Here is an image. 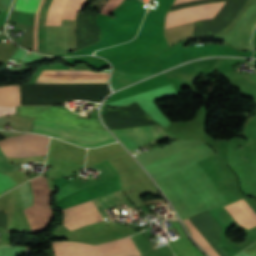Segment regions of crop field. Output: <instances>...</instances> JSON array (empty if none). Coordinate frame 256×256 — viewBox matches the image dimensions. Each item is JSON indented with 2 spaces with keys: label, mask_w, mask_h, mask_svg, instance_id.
<instances>
[{
  "label": "crop field",
  "mask_w": 256,
  "mask_h": 256,
  "mask_svg": "<svg viewBox=\"0 0 256 256\" xmlns=\"http://www.w3.org/2000/svg\"><path fill=\"white\" fill-rule=\"evenodd\" d=\"M59 109L57 107H18L16 115L53 122ZM37 120H34V133H44L79 146L93 147L116 141L107 130Z\"/></svg>",
  "instance_id": "1"
},
{
  "label": "crop field",
  "mask_w": 256,
  "mask_h": 256,
  "mask_svg": "<svg viewBox=\"0 0 256 256\" xmlns=\"http://www.w3.org/2000/svg\"><path fill=\"white\" fill-rule=\"evenodd\" d=\"M87 0H68L64 10L62 26L76 27L77 12ZM40 0H17L15 9L36 13ZM51 0H41L35 14L11 11L8 21L33 26L34 16V49L45 52V20Z\"/></svg>",
  "instance_id": "2"
},
{
  "label": "crop field",
  "mask_w": 256,
  "mask_h": 256,
  "mask_svg": "<svg viewBox=\"0 0 256 256\" xmlns=\"http://www.w3.org/2000/svg\"><path fill=\"white\" fill-rule=\"evenodd\" d=\"M40 176L30 180L33 181ZM34 194V206L24 209L31 226L32 233H38L46 229L51 222L53 212L50 208V188L46 178H39L31 182Z\"/></svg>",
  "instance_id": "3"
},
{
  "label": "crop field",
  "mask_w": 256,
  "mask_h": 256,
  "mask_svg": "<svg viewBox=\"0 0 256 256\" xmlns=\"http://www.w3.org/2000/svg\"><path fill=\"white\" fill-rule=\"evenodd\" d=\"M146 9L140 0H133L113 18L112 45L135 37Z\"/></svg>",
  "instance_id": "4"
},
{
  "label": "crop field",
  "mask_w": 256,
  "mask_h": 256,
  "mask_svg": "<svg viewBox=\"0 0 256 256\" xmlns=\"http://www.w3.org/2000/svg\"><path fill=\"white\" fill-rule=\"evenodd\" d=\"M120 141L129 149L133 150L144 144H147L157 138L167 136L168 134L158 125L135 127L128 129L111 130Z\"/></svg>",
  "instance_id": "5"
},
{
  "label": "crop field",
  "mask_w": 256,
  "mask_h": 256,
  "mask_svg": "<svg viewBox=\"0 0 256 256\" xmlns=\"http://www.w3.org/2000/svg\"><path fill=\"white\" fill-rule=\"evenodd\" d=\"M77 207L80 209L89 224L102 221V218L92 200L77 204ZM77 207L74 205L62 210L64 214L63 226L71 231L88 225V222Z\"/></svg>",
  "instance_id": "6"
},
{
  "label": "crop field",
  "mask_w": 256,
  "mask_h": 256,
  "mask_svg": "<svg viewBox=\"0 0 256 256\" xmlns=\"http://www.w3.org/2000/svg\"><path fill=\"white\" fill-rule=\"evenodd\" d=\"M191 1L195 0H176L172 6L184 4ZM222 2L223 0L188 9L185 11L169 14L166 18V28L213 17Z\"/></svg>",
  "instance_id": "7"
},
{
  "label": "crop field",
  "mask_w": 256,
  "mask_h": 256,
  "mask_svg": "<svg viewBox=\"0 0 256 256\" xmlns=\"http://www.w3.org/2000/svg\"><path fill=\"white\" fill-rule=\"evenodd\" d=\"M53 243V247H54V251H55V255L56 256H84V254L86 256H105V255H109V254H113V253H117L120 251H124L127 249H131L130 245L128 246H124L118 249H114L111 251H107L101 254H97L95 255L93 250L91 249L90 245L88 244H82L80 243L81 249L84 252V254L82 253L79 244L76 242H72V241H55L52 242ZM132 248H135V244L131 245Z\"/></svg>",
  "instance_id": "8"
},
{
  "label": "crop field",
  "mask_w": 256,
  "mask_h": 256,
  "mask_svg": "<svg viewBox=\"0 0 256 256\" xmlns=\"http://www.w3.org/2000/svg\"><path fill=\"white\" fill-rule=\"evenodd\" d=\"M172 228L180 238L168 241L172 251L176 256H204L198 252L189 242L187 237L182 232L177 221L171 222ZM171 229V228H169ZM168 230V229H167Z\"/></svg>",
  "instance_id": "9"
},
{
  "label": "crop field",
  "mask_w": 256,
  "mask_h": 256,
  "mask_svg": "<svg viewBox=\"0 0 256 256\" xmlns=\"http://www.w3.org/2000/svg\"><path fill=\"white\" fill-rule=\"evenodd\" d=\"M55 122L105 129L102 126L99 119L80 118V117H78V115H76L68 110H65L63 108H61Z\"/></svg>",
  "instance_id": "10"
},
{
  "label": "crop field",
  "mask_w": 256,
  "mask_h": 256,
  "mask_svg": "<svg viewBox=\"0 0 256 256\" xmlns=\"http://www.w3.org/2000/svg\"><path fill=\"white\" fill-rule=\"evenodd\" d=\"M184 223L189 228L193 239L210 255L219 256L216 251L209 245V243L203 238V236L197 231V229L190 223L188 219L184 220Z\"/></svg>",
  "instance_id": "11"
},
{
  "label": "crop field",
  "mask_w": 256,
  "mask_h": 256,
  "mask_svg": "<svg viewBox=\"0 0 256 256\" xmlns=\"http://www.w3.org/2000/svg\"><path fill=\"white\" fill-rule=\"evenodd\" d=\"M110 73H34L33 77H109Z\"/></svg>",
  "instance_id": "12"
},
{
  "label": "crop field",
  "mask_w": 256,
  "mask_h": 256,
  "mask_svg": "<svg viewBox=\"0 0 256 256\" xmlns=\"http://www.w3.org/2000/svg\"><path fill=\"white\" fill-rule=\"evenodd\" d=\"M17 185L14 180L0 173V193Z\"/></svg>",
  "instance_id": "13"
},
{
  "label": "crop field",
  "mask_w": 256,
  "mask_h": 256,
  "mask_svg": "<svg viewBox=\"0 0 256 256\" xmlns=\"http://www.w3.org/2000/svg\"><path fill=\"white\" fill-rule=\"evenodd\" d=\"M135 251L137 252L138 256H141L139 251L137 250V248H135ZM135 251H134V249H132V250L120 252V253H117V254H113V255H110V256H137Z\"/></svg>",
  "instance_id": "14"
},
{
  "label": "crop field",
  "mask_w": 256,
  "mask_h": 256,
  "mask_svg": "<svg viewBox=\"0 0 256 256\" xmlns=\"http://www.w3.org/2000/svg\"><path fill=\"white\" fill-rule=\"evenodd\" d=\"M14 113H15V107L0 106V116L1 115L14 114Z\"/></svg>",
  "instance_id": "15"
},
{
  "label": "crop field",
  "mask_w": 256,
  "mask_h": 256,
  "mask_svg": "<svg viewBox=\"0 0 256 256\" xmlns=\"http://www.w3.org/2000/svg\"><path fill=\"white\" fill-rule=\"evenodd\" d=\"M150 12H151V11H149V10H148L146 14H148V15H149V14H150Z\"/></svg>",
  "instance_id": "16"
}]
</instances>
